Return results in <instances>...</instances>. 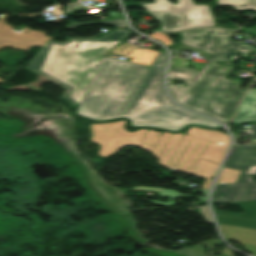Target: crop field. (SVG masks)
I'll list each match as a JSON object with an SVG mask.
<instances>
[{
    "label": "crop field",
    "instance_id": "1",
    "mask_svg": "<svg viewBox=\"0 0 256 256\" xmlns=\"http://www.w3.org/2000/svg\"><path fill=\"white\" fill-rule=\"evenodd\" d=\"M124 120L113 123L90 124L91 141L101 148L97 155L107 156L124 145H136L152 152L158 163L177 172L206 177L202 188L208 189L229 145V137L214 130L189 128L188 136L163 134L140 129L128 132ZM108 157V156H107Z\"/></svg>",
    "mask_w": 256,
    "mask_h": 256
},
{
    "label": "crop field",
    "instance_id": "2",
    "mask_svg": "<svg viewBox=\"0 0 256 256\" xmlns=\"http://www.w3.org/2000/svg\"><path fill=\"white\" fill-rule=\"evenodd\" d=\"M181 43L211 53L201 71L169 67L167 80H184L186 87L168 83L169 93L182 106L209 115L221 122L230 120L244 91L236 89L242 80L223 78L231 66L215 65L230 41L233 31L220 28L194 29L181 32ZM228 68L227 71H223ZM225 96H229L226 99Z\"/></svg>",
    "mask_w": 256,
    "mask_h": 256
},
{
    "label": "crop field",
    "instance_id": "3",
    "mask_svg": "<svg viewBox=\"0 0 256 256\" xmlns=\"http://www.w3.org/2000/svg\"><path fill=\"white\" fill-rule=\"evenodd\" d=\"M130 32L116 30L100 38H68L64 43L49 40L26 69L68 88L63 97L78 106L102 54Z\"/></svg>",
    "mask_w": 256,
    "mask_h": 256
},
{
    "label": "crop field",
    "instance_id": "4",
    "mask_svg": "<svg viewBox=\"0 0 256 256\" xmlns=\"http://www.w3.org/2000/svg\"><path fill=\"white\" fill-rule=\"evenodd\" d=\"M166 61V51L161 50L118 117L130 119L131 126H151L172 131L187 123L219 127L213 120L182 109L167 99L162 87Z\"/></svg>",
    "mask_w": 256,
    "mask_h": 256
},
{
    "label": "crop field",
    "instance_id": "5",
    "mask_svg": "<svg viewBox=\"0 0 256 256\" xmlns=\"http://www.w3.org/2000/svg\"><path fill=\"white\" fill-rule=\"evenodd\" d=\"M148 67L103 56L76 113L92 120L117 117Z\"/></svg>",
    "mask_w": 256,
    "mask_h": 256
},
{
    "label": "crop field",
    "instance_id": "6",
    "mask_svg": "<svg viewBox=\"0 0 256 256\" xmlns=\"http://www.w3.org/2000/svg\"><path fill=\"white\" fill-rule=\"evenodd\" d=\"M142 6L162 23V31H174L197 26H214L207 5H194L191 0H153Z\"/></svg>",
    "mask_w": 256,
    "mask_h": 256
},
{
    "label": "crop field",
    "instance_id": "7",
    "mask_svg": "<svg viewBox=\"0 0 256 256\" xmlns=\"http://www.w3.org/2000/svg\"><path fill=\"white\" fill-rule=\"evenodd\" d=\"M256 145L235 146L224 167L241 170L236 182H245L232 201L256 200Z\"/></svg>",
    "mask_w": 256,
    "mask_h": 256
},
{
    "label": "crop field",
    "instance_id": "8",
    "mask_svg": "<svg viewBox=\"0 0 256 256\" xmlns=\"http://www.w3.org/2000/svg\"><path fill=\"white\" fill-rule=\"evenodd\" d=\"M254 120L256 121V89L249 88L246 96L234 116V124Z\"/></svg>",
    "mask_w": 256,
    "mask_h": 256
},
{
    "label": "crop field",
    "instance_id": "9",
    "mask_svg": "<svg viewBox=\"0 0 256 256\" xmlns=\"http://www.w3.org/2000/svg\"><path fill=\"white\" fill-rule=\"evenodd\" d=\"M242 184L243 183L215 185L212 192L211 201L230 202Z\"/></svg>",
    "mask_w": 256,
    "mask_h": 256
},
{
    "label": "crop field",
    "instance_id": "10",
    "mask_svg": "<svg viewBox=\"0 0 256 256\" xmlns=\"http://www.w3.org/2000/svg\"><path fill=\"white\" fill-rule=\"evenodd\" d=\"M131 189H134V190L156 191V192L159 193V195L170 196L171 198H170V200H169L167 203H163V202H159V201H155V200H152V201H151V202H153V203L160 204V205H164V206L174 205L173 202H172V197H175V196L194 197V196L179 194V193H178L177 191H175V190L163 189V188H158V187L138 186V187H132ZM200 191L204 193V196H203V198L197 197L198 200H206L208 190L201 189Z\"/></svg>",
    "mask_w": 256,
    "mask_h": 256
},
{
    "label": "crop field",
    "instance_id": "11",
    "mask_svg": "<svg viewBox=\"0 0 256 256\" xmlns=\"http://www.w3.org/2000/svg\"><path fill=\"white\" fill-rule=\"evenodd\" d=\"M248 52L256 54V47L230 41L222 60L233 61L236 56L245 57Z\"/></svg>",
    "mask_w": 256,
    "mask_h": 256
},
{
    "label": "crop field",
    "instance_id": "12",
    "mask_svg": "<svg viewBox=\"0 0 256 256\" xmlns=\"http://www.w3.org/2000/svg\"><path fill=\"white\" fill-rule=\"evenodd\" d=\"M218 5H230L234 10L243 12L245 9L256 11V0H216Z\"/></svg>",
    "mask_w": 256,
    "mask_h": 256
},
{
    "label": "crop field",
    "instance_id": "13",
    "mask_svg": "<svg viewBox=\"0 0 256 256\" xmlns=\"http://www.w3.org/2000/svg\"><path fill=\"white\" fill-rule=\"evenodd\" d=\"M240 171L222 168L215 184L235 182Z\"/></svg>",
    "mask_w": 256,
    "mask_h": 256
},
{
    "label": "crop field",
    "instance_id": "14",
    "mask_svg": "<svg viewBox=\"0 0 256 256\" xmlns=\"http://www.w3.org/2000/svg\"><path fill=\"white\" fill-rule=\"evenodd\" d=\"M84 24H110V25H114V26L126 27L124 19L120 18V19L107 20V21H93V22H83V23L67 24L64 28L70 29V28H75L77 26L84 25Z\"/></svg>",
    "mask_w": 256,
    "mask_h": 256
},
{
    "label": "crop field",
    "instance_id": "15",
    "mask_svg": "<svg viewBox=\"0 0 256 256\" xmlns=\"http://www.w3.org/2000/svg\"><path fill=\"white\" fill-rule=\"evenodd\" d=\"M250 129H251V138H255L256 139V124L255 123H252L250 125Z\"/></svg>",
    "mask_w": 256,
    "mask_h": 256
}]
</instances>
